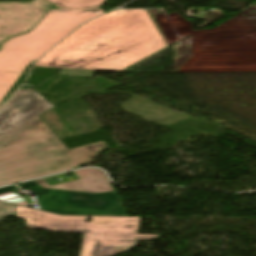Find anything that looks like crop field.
<instances>
[{"label":"crop field","mask_w":256,"mask_h":256,"mask_svg":"<svg viewBox=\"0 0 256 256\" xmlns=\"http://www.w3.org/2000/svg\"><path fill=\"white\" fill-rule=\"evenodd\" d=\"M165 47L146 10H118L82 25L35 66L119 72Z\"/></svg>","instance_id":"obj_1"},{"label":"crop field","mask_w":256,"mask_h":256,"mask_svg":"<svg viewBox=\"0 0 256 256\" xmlns=\"http://www.w3.org/2000/svg\"><path fill=\"white\" fill-rule=\"evenodd\" d=\"M107 148L101 141L68 150L38 116L0 136V186L66 171Z\"/></svg>","instance_id":"obj_2"},{"label":"crop field","mask_w":256,"mask_h":256,"mask_svg":"<svg viewBox=\"0 0 256 256\" xmlns=\"http://www.w3.org/2000/svg\"><path fill=\"white\" fill-rule=\"evenodd\" d=\"M26 225L50 232L84 233L79 256H112L129 250L139 239L159 235H137L140 217L60 216L31 208L16 207ZM86 217L92 221H85Z\"/></svg>","instance_id":"obj_3"},{"label":"crop field","mask_w":256,"mask_h":256,"mask_svg":"<svg viewBox=\"0 0 256 256\" xmlns=\"http://www.w3.org/2000/svg\"><path fill=\"white\" fill-rule=\"evenodd\" d=\"M100 13L98 9L50 10L34 29L2 44L0 48V102L26 65L63 39L74 28Z\"/></svg>","instance_id":"obj_4"},{"label":"crop field","mask_w":256,"mask_h":256,"mask_svg":"<svg viewBox=\"0 0 256 256\" xmlns=\"http://www.w3.org/2000/svg\"><path fill=\"white\" fill-rule=\"evenodd\" d=\"M28 187L37 197L43 211L60 215H111L124 216L115 191L88 194L59 190L42 189L33 181L18 184Z\"/></svg>","instance_id":"obj_5"},{"label":"crop field","mask_w":256,"mask_h":256,"mask_svg":"<svg viewBox=\"0 0 256 256\" xmlns=\"http://www.w3.org/2000/svg\"><path fill=\"white\" fill-rule=\"evenodd\" d=\"M50 6L43 0H32L30 3L0 2V43L30 30Z\"/></svg>","instance_id":"obj_6"},{"label":"crop field","mask_w":256,"mask_h":256,"mask_svg":"<svg viewBox=\"0 0 256 256\" xmlns=\"http://www.w3.org/2000/svg\"><path fill=\"white\" fill-rule=\"evenodd\" d=\"M51 107L53 106L32 89L15 92L8 102L0 106V134Z\"/></svg>","instance_id":"obj_7"},{"label":"crop field","mask_w":256,"mask_h":256,"mask_svg":"<svg viewBox=\"0 0 256 256\" xmlns=\"http://www.w3.org/2000/svg\"><path fill=\"white\" fill-rule=\"evenodd\" d=\"M81 179L49 187L42 179L35 180L42 188L59 189L80 192L100 193L112 191L114 188L105 174L98 169H85L74 172Z\"/></svg>","instance_id":"obj_8"},{"label":"crop field","mask_w":256,"mask_h":256,"mask_svg":"<svg viewBox=\"0 0 256 256\" xmlns=\"http://www.w3.org/2000/svg\"><path fill=\"white\" fill-rule=\"evenodd\" d=\"M61 8L100 7L105 0H48Z\"/></svg>","instance_id":"obj_9"},{"label":"crop field","mask_w":256,"mask_h":256,"mask_svg":"<svg viewBox=\"0 0 256 256\" xmlns=\"http://www.w3.org/2000/svg\"><path fill=\"white\" fill-rule=\"evenodd\" d=\"M17 189L18 188L15 185L0 189V200L5 202H10L13 204H19L21 206L28 205V203L25 200H23L18 195L13 194L11 192Z\"/></svg>","instance_id":"obj_10"},{"label":"crop field","mask_w":256,"mask_h":256,"mask_svg":"<svg viewBox=\"0 0 256 256\" xmlns=\"http://www.w3.org/2000/svg\"><path fill=\"white\" fill-rule=\"evenodd\" d=\"M94 71L61 69L59 75L92 77Z\"/></svg>","instance_id":"obj_11"},{"label":"crop field","mask_w":256,"mask_h":256,"mask_svg":"<svg viewBox=\"0 0 256 256\" xmlns=\"http://www.w3.org/2000/svg\"><path fill=\"white\" fill-rule=\"evenodd\" d=\"M14 205L6 204L0 202V220L4 219L5 217L11 215L15 211Z\"/></svg>","instance_id":"obj_12"}]
</instances>
